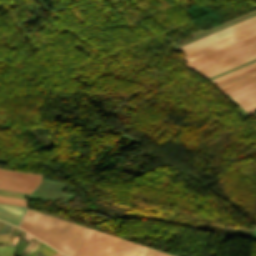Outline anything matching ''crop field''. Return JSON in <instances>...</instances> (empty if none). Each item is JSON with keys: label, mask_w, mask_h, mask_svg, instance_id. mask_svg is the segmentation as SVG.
I'll list each match as a JSON object with an SVG mask.
<instances>
[{"label": "crop field", "mask_w": 256, "mask_h": 256, "mask_svg": "<svg viewBox=\"0 0 256 256\" xmlns=\"http://www.w3.org/2000/svg\"><path fill=\"white\" fill-rule=\"evenodd\" d=\"M151 256H172V255H168V254H165V253L158 252V251L154 250Z\"/></svg>", "instance_id": "crop-field-21"}, {"label": "crop field", "mask_w": 256, "mask_h": 256, "mask_svg": "<svg viewBox=\"0 0 256 256\" xmlns=\"http://www.w3.org/2000/svg\"><path fill=\"white\" fill-rule=\"evenodd\" d=\"M18 238H19V237H17V236H16L12 244H14V245H15V244H16V242H17V240H18Z\"/></svg>", "instance_id": "crop-field-25"}, {"label": "crop field", "mask_w": 256, "mask_h": 256, "mask_svg": "<svg viewBox=\"0 0 256 256\" xmlns=\"http://www.w3.org/2000/svg\"><path fill=\"white\" fill-rule=\"evenodd\" d=\"M250 115L256 113V81L227 92Z\"/></svg>", "instance_id": "crop-field-5"}, {"label": "crop field", "mask_w": 256, "mask_h": 256, "mask_svg": "<svg viewBox=\"0 0 256 256\" xmlns=\"http://www.w3.org/2000/svg\"><path fill=\"white\" fill-rule=\"evenodd\" d=\"M152 251H153L152 249H148V248L144 247L142 252H141V254H140V256H150Z\"/></svg>", "instance_id": "crop-field-20"}, {"label": "crop field", "mask_w": 256, "mask_h": 256, "mask_svg": "<svg viewBox=\"0 0 256 256\" xmlns=\"http://www.w3.org/2000/svg\"><path fill=\"white\" fill-rule=\"evenodd\" d=\"M4 222H2V221H0V233L2 232V229H3V227H4Z\"/></svg>", "instance_id": "crop-field-23"}, {"label": "crop field", "mask_w": 256, "mask_h": 256, "mask_svg": "<svg viewBox=\"0 0 256 256\" xmlns=\"http://www.w3.org/2000/svg\"><path fill=\"white\" fill-rule=\"evenodd\" d=\"M30 243L27 245V247L18 255V256H23L24 254H26L29 250H31L36 244H38L40 241H38L36 238H32L30 241ZM42 242H40L38 245H36L31 251H29L26 255L24 256H28L32 251H34L39 245H41ZM40 247V246H39Z\"/></svg>", "instance_id": "crop-field-13"}, {"label": "crop field", "mask_w": 256, "mask_h": 256, "mask_svg": "<svg viewBox=\"0 0 256 256\" xmlns=\"http://www.w3.org/2000/svg\"><path fill=\"white\" fill-rule=\"evenodd\" d=\"M255 46H256V41L253 42V43H250V44H248V45H246V46H243V47H241V48H238V49H236V50H233V51H231V52H228V53H226V54H223V55H221V56H218V57H216V58H213V59H211V60H208V61H206V62H203V63H201V64H198V65H196V66H193V67H191V68H192L193 70L197 71V70H199V69H202V68H204V67H206V66H209V65H211V64H214V63H216V62H219V61H221V60H223V59H226V58H228V57H231V56H233V55H236V54H238V53H240V52H243V51L248 50V49H250V48H253V47H255Z\"/></svg>", "instance_id": "crop-field-8"}, {"label": "crop field", "mask_w": 256, "mask_h": 256, "mask_svg": "<svg viewBox=\"0 0 256 256\" xmlns=\"http://www.w3.org/2000/svg\"><path fill=\"white\" fill-rule=\"evenodd\" d=\"M254 51H256V47L253 48V49H250V50H248V51H245V52H243V53H240V54H238V55H236V56H233V57H231V58H228V59H226V60H223V61H221V62H219V63H216V64H214V65H211V66H209V67H206V68H204V69H202V70H199V71H197V72H198L199 74H201V73H203V72H206V71H208V70H210V69H213V68H215V67H218V66H220V65H222V64H225V63H227V62H230V61H232V60H235V59H237V58H239V57H242V56L247 55V54H249V53H252V52H254Z\"/></svg>", "instance_id": "crop-field-12"}, {"label": "crop field", "mask_w": 256, "mask_h": 256, "mask_svg": "<svg viewBox=\"0 0 256 256\" xmlns=\"http://www.w3.org/2000/svg\"><path fill=\"white\" fill-rule=\"evenodd\" d=\"M20 234H21V238L24 239L25 232H23L22 230H20Z\"/></svg>", "instance_id": "crop-field-24"}, {"label": "crop field", "mask_w": 256, "mask_h": 256, "mask_svg": "<svg viewBox=\"0 0 256 256\" xmlns=\"http://www.w3.org/2000/svg\"><path fill=\"white\" fill-rule=\"evenodd\" d=\"M64 256V255H63Z\"/></svg>", "instance_id": "crop-field-28"}, {"label": "crop field", "mask_w": 256, "mask_h": 256, "mask_svg": "<svg viewBox=\"0 0 256 256\" xmlns=\"http://www.w3.org/2000/svg\"><path fill=\"white\" fill-rule=\"evenodd\" d=\"M20 228L69 256H77L89 230L30 210L27 211Z\"/></svg>", "instance_id": "crop-field-1"}, {"label": "crop field", "mask_w": 256, "mask_h": 256, "mask_svg": "<svg viewBox=\"0 0 256 256\" xmlns=\"http://www.w3.org/2000/svg\"><path fill=\"white\" fill-rule=\"evenodd\" d=\"M254 55H256V52H254V53H252V54H249V55H247V56H244V57H242V58H239V59H237V60H235V61H232V62H230V63H227V64H225V65H222V66H220V67H218V68H215V69H213V70H210V71H208V72H206V73H203V74H201V75L205 76V75H207V74H210V73H212V72H215V71H217V70H219V69H222V68H224V67H227V66H229V65H232V64H234V63H237V62H239V61H242V60L247 59V58H249V57H251V56H254Z\"/></svg>", "instance_id": "crop-field-16"}, {"label": "crop field", "mask_w": 256, "mask_h": 256, "mask_svg": "<svg viewBox=\"0 0 256 256\" xmlns=\"http://www.w3.org/2000/svg\"><path fill=\"white\" fill-rule=\"evenodd\" d=\"M0 202H3V201H0ZM4 203H10V202H4ZM10 204H16V203H10ZM17 205H22V204H17ZM23 206H26V205H23Z\"/></svg>", "instance_id": "crop-field-26"}, {"label": "crop field", "mask_w": 256, "mask_h": 256, "mask_svg": "<svg viewBox=\"0 0 256 256\" xmlns=\"http://www.w3.org/2000/svg\"><path fill=\"white\" fill-rule=\"evenodd\" d=\"M17 228H18V227H17ZM17 228L12 227V230H11V233H10V234L18 235V236H19V234H18V229H17Z\"/></svg>", "instance_id": "crop-field-22"}, {"label": "crop field", "mask_w": 256, "mask_h": 256, "mask_svg": "<svg viewBox=\"0 0 256 256\" xmlns=\"http://www.w3.org/2000/svg\"><path fill=\"white\" fill-rule=\"evenodd\" d=\"M255 34H256V28H253V29L248 30V31H246V32H244V33H241V34L236 35V36H234V37H231V38H229V39H227V40H224V41L219 42V43H217V44H214V45H212V46H210V47H207V48L202 49V50H200V51H197V52H195V53H193V54H190V55L184 57V59H185L186 61H191V60H193V59H196V58H198V57H201V56H203V55H206V54H208V53H211V52H213V51H215V50H218V49H220V48H223V47H225V46H228V45H230V44H233V43H235V42H238V41H240V40H243V39H245V38H248V37H250V36H253V35H255Z\"/></svg>", "instance_id": "crop-field-6"}, {"label": "crop field", "mask_w": 256, "mask_h": 256, "mask_svg": "<svg viewBox=\"0 0 256 256\" xmlns=\"http://www.w3.org/2000/svg\"><path fill=\"white\" fill-rule=\"evenodd\" d=\"M36 256H42V255L38 253Z\"/></svg>", "instance_id": "crop-field-27"}, {"label": "crop field", "mask_w": 256, "mask_h": 256, "mask_svg": "<svg viewBox=\"0 0 256 256\" xmlns=\"http://www.w3.org/2000/svg\"><path fill=\"white\" fill-rule=\"evenodd\" d=\"M255 40H256V36H253V37L248 38V39H246V40H244V41H241V42H239V43H236V44H234V45H231V46H229V47H226V48H224V49H222V50H219V51H217V52H214V53H212V54H209V55H207V56H204V57H202V58H200V59H197V60L192 61V62H190V63H186V65H188L189 67H191V66L196 65V64H198V63H201V62H203V61H206V60H208V59H211V58H213V57H216V56H218V55H221V54H223V53H226V52H228V51H231V50H233V49H236V48H238V47H241V46H243V45H246V44H248V43H250V42H253V41H255Z\"/></svg>", "instance_id": "crop-field-9"}, {"label": "crop field", "mask_w": 256, "mask_h": 256, "mask_svg": "<svg viewBox=\"0 0 256 256\" xmlns=\"http://www.w3.org/2000/svg\"><path fill=\"white\" fill-rule=\"evenodd\" d=\"M0 195H1V196H8V197H15V198L24 199V198H25L26 196H28L29 194L0 189Z\"/></svg>", "instance_id": "crop-field-14"}, {"label": "crop field", "mask_w": 256, "mask_h": 256, "mask_svg": "<svg viewBox=\"0 0 256 256\" xmlns=\"http://www.w3.org/2000/svg\"><path fill=\"white\" fill-rule=\"evenodd\" d=\"M0 200L25 204L24 200H21V199H14V198H8V197H1L0 196Z\"/></svg>", "instance_id": "crop-field-18"}, {"label": "crop field", "mask_w": 256, "mask_h": 256, "mask_svg": "<svg viewBox=\"0 0 256 256\" xmlns=\"http://www.w3.org/2000/svg\"><path fill=\"white\" fill-rule=\"evenodd\" d=\"M121 239L91 230L78 256H114Z\"/></svg>", "instance_id": "crop-field-2"}, {"label": "crop field", "mask_w": 256, "mask_h": 256, "mask_svg": "<svg viewBox=\"0 0 256 256\" xmlns=\"http://www.w3.org/2000/svg\"><path fill=\"white\" fill-rule=\"evenodd\" d=\"M255 79H256V72H255V73H252V74H250V75H247V76H245V77H243V78H240V79H238V80H235V81H233V82H231V83H228V84H226V85H223V86L219 87V89H220L223 93H225V92H227V91H229V90H231V89H234V88H236V87H239V86H241V85H243V84H246V83H248V82H251V81H253V80H255Z\"/></svg>", "instance_id": "crop-field-11"}, {"label": "crop field", "mask_w": 256, "mask_h": 256, "mask_svg": "<svg viewBox=\"0 0 256 256\" xmlns=\"http://www.w3.org/2000/svg\"><path fill=\"white\" fill-rule=\"evenodd\" d=\"M142 248V246L122 240L115 256H139Z\"/></svg>", "instance_id": "crop-field-10"}, {"label": "crop field", "mask_w": 256, "mask_h": 256, "mask_svg": "<svg viewBox=\"0 0 256 256\" xmlns=\"http://www.w3.org/2000/svg\"><path fill=\"white\" fill-rule=\"evenodd\" d=\"M256 26V16L249 18L247 20H244L240 23H237L235 25H232L230 27H227L223 30H220L218 32H215L211 35H208L204 38H201L197 41H194L192 43H189L187 45H184L180 48H177L176 50H179L186 55L195 52L199 49H202L204 47H207L211 44H214L216 42H219L221 40H224L226 38H229L233 35H236L238 33H241L243 31H246L248 29H251Z\"/></svg>", "instance_id": "crop-field-3"}, {"label": "crop field", "mask_w": 256, "mask_h": 256, "mask_svg": "<svg viewBox=\"0 0 256 256\" xmlns=\"http://www.w3.org/2000/svg\"><path fill=\"white\" fill-rule=\"evenodd\" d=\"M254 70H256V68H255V69H252V70H250V71H247V72H245V73H242V74H240V75H238V76H235V77H233V78H230V79H228V80H225V81H223V82H220V83H218V86H220V85H222V84H224V83H227V82H229V81H231V80H234V79H236V78H238V77H240V76H243V75H245V74H247V73H250V72H252V71H254Z\"/></svg>", "instance_id": "crop-field-19"}, {"label": "crop field", "mask_w": 256, "mask_h": 256, "mask_svg": "<svg viewBox=\"0 0 256 256\" xmlns=\"http://www.w3.org/2000/svg\"><path fill=\"white\" fill-rule=\"evenodd\" d=\"M41 181V175L0 169V188L31 193Z\"/></svg>", "instance_id": "crop-field-4"}, {"label": "crop field", "mask_w": 256, "mask_h": 256, "mask_svg": "<svg viewBox=\"0 0 256 256\" xmlns=\"http://www.w3.org/2000/svg\"><path fill=\"white\" fill-rule=\"evenodd\" d=\"M26 207L0 203V219L18 226Z\"/></svg>", "instance_id": "crop-field-7"}, {"label": "crop field", "mask_w": 256, "mask_h": 256, "mask_svg": "<svg viewBox=\"0 0 256 256\" xmlns=\"http://www.w3.org/2000/svg\"><path fill=\"white\" fill-rule=\"evenodd\" d=\"M253 66H256V62H254V63H252V64H249V65H247V66H244V67H242V68H239V69H237V70H234V71H232V72H229V73H227V74H224V75H222V76H220V77H217V78H215V79H212V80H210V81L216 82V81H218V80H221V79H223V78H226V77H228V76H231V75H233V74H236V73H238V72H241V71L246 70V69H248V68H251V67H253Z\"/></svg>", "instance_id": "crop-field-15"}, {"label": "crop field", "mask_w": 256, "mask_h": 256, "mask_svg": "<svg viewBox=\"0 0 256 256\" xmlns=\"http://www.w3.org/2000/svg\"><path fill=\"white\" fill-rule=\"evenodd\" d=\"M254 58H256V56L251 57V58H249V59H247V60H244V61H242V62H239V63H237V64H234V65H232V66H229V67H227V68H224V69H222V70H219V71H217V72H215V73H212V74H210V75H207V76H205V78H207V77H209V76H212V75H214V74H217V73H219V72H222V71H224V70H227V69H229V68H231V67H234V66H236V65H239V64H241V63H244V62H246V61H249V60H251V59H254Z\"/></svg>", "instance_id": "crop-field-17"}]
</instances>
